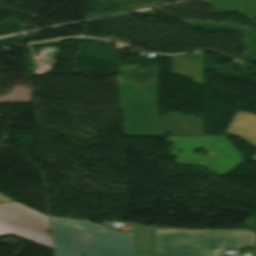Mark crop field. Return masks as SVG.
Returning a JSON list of instances; mask_svg holds the SVG:
<instances>
[{
  "instance_id": "2",
  "label": "crop field",
  "mask_w": 256,
  "mask_h": 256,
  "mask_svg": "<svg viewBox=\"0 0 256 256\" xmlns=\"http://www.w3.org/2000/svg\"><path fill=\"white\" fill-rule=\"evenodd\" d=\"M256 246L252 230L156 232L157 256H218L223 249Z\"/></svg>"
},
{
  "instance_id": "6",
  "label": "crop field",
  "mask_w": 256,
  "mask_h": 256,
  "mask_svg": "<svg viewBox=\"0 0 256 256\" xmlns=\"http://www.w3.org/2000/svg\"><path fill=\"white\" fill-rule=\"evenodd\" d=\"M12 202V200L0 195V203Z\"/></svg>"
},
{
  "instance_id": "3",
  "label": "crop field",
  "mask_w": 256,
  "mask_h": 256,
  "mask_svg": "<svg viewBox=\"0 0 256 256\" xmlns=\"http://www.w3.org/2000/svg\"><path fill=\"white\" fill-rule=\"evenodd\" d=\"M48 217L17 202L0 204V235L13 233L52 250Z\"/></svg>"
},
{
  "instance_id": "1",
  "label": "crop field",
  "mask_w": 256,
  "mask_h": 256,
  "mask_svg": "<svg viewBox=\"0 0 256 256\" xmlns=\"http://www.w3.org/2000/svg\"><path fill=\"white\" fill-rule=\"evenodd\" d=\"M57 256H134L132 233L111 232L87 221L51 218Z\"/></svg>"
},
{
  "instance_id": "4",
  "label": "crop field",
  "mask_w": 256,
  "mask_h": 256,
  "mask_svg": "<svg viewBox=\"0 0 256 256\" xmlns=\"http://www.w3.org/2000/svg\"><path fill=\"white\" fill-rule=\"evenodd\" d=\"M225 132L235 134L256 146V115L237 111ZM252 160L256 161V156Z\"/></svg>"
},
{
  "instance_id": "5",
  "label": "crop field",
  "mask_w": 256,
  "mask_h": 256,
  "mask_svg": "<svg viewBox=\"0 0 256 256\" xmlns=\"http://www.w3.org/2000/svg\"><path fill=\"white\" fill-rule=\"evenodd\" d=\"M135 256H154L155 226L132 223Z\"/></svg>"
}]
</instances>
